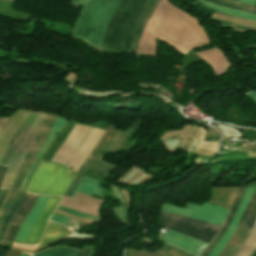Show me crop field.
<instances>
[{
	"instance_id": "8a807250",
	"label": "crop field",
	"mask_w": 256,
	"mask_h": 256,
	"mask_svg": "<svg viewBox=\"0 0 256 256\" xmlns=\"http://www.w3.org/2000/svg\"><path fill=\"white\" fill-rule=\"evenodd\" d=\"M122 0H72L83 5L75 26L74 39L101 49L105 31ZM160 0H123L105 34L101 51L113 54L137 51L141 33ZM155 37L186 55L194 46L209 41L193 17L161 0L151 16L139 43L138 54L153 55Z\"/></svg>"
},
{
	"instance_id": "ac0d7876",
	"label": "crop field",
	"mask_w": 256,
	"mask_h": 256,
	"mask_svg": "<svg viewBox=\"0 0 256 256\" xmlns=\"http://www.w3.org/2000/svg\"><path fill=\"white\" fill-rule=\"evenodd\" d=\"M46 113L43 112H33L26 124L23 126L22 130L17 134V136L14 138L12 143L10 144V147L1 163V166H8V170L6 172V175L3 179V182L1 184L0 190L8 189L9 185L11 183L12 178L15 175V172L25 155L27 149L29 148L30 144L34 140L38 129L40 127V124L44 118ZM56 116L51 115L49 113L46 114L45 119L40 127V130L38 132V135L36 136L35 140L31 144L30 148L28 149L25 157L23 158L16 175L14 177V180L9 188V191L7 193L6 198L4 199L1 207H0V225L1 222L9 209V207L12 205L16 194L18 192V189L22 183V180L39 149L43 145L50 129L53 124V121Z\"/></svg>"
},
{
	"instance_id": "34b2d1b8",
	"label": "crop field",
	"mask_w": 256,
	"mask_h": 256,
	"mask_svg": "<svg viewBox=\"0 0 256 256\" xmlns=\"http://www.w3.org/2000/svg\"><path fill=\"white\" fill-rule=\"evenodd\" d=\"M49 196H44V195H39L32 210L30 213L27 215L23 225L21 226L18 234L16 235L14 242L21 243L23 244L32 225L36 221V219L39 217L41 214L45 203L47 201ZM60 200V197H54L50 196L47 204L38 218V220L35 222L33 225L26 241L24 244H36L39 242L43 232L44 228L46 225V220L50 217V215L53 213L56 205L58 204Z\"/></svg>"
},
{
	"instance_id": "412701ff",
	"label": "crop field",
	"mask_w": 256,
	"mask_h": 256,
	"mask_svg": "<svg viewBox=\"0 0 256 256\" xmlns=\"http://www.w3.org/2000/svg\"><path fill=\"white\" fill-rule=\"evenodd\" d=\"M67 172L68 170L60 165L42 161L27 190L41 194L63 195L75 175L71 171L67 175Z\"/></svg>"
},
{
	"instance_id": "f4fd0767",
	"label": "crop field",
	"mask_w": 256,
	"mask_h": 256,
	"mask_svg": "<svg viewBox=\"0 0 256 256\" xmlns=\"http://www.w3.org/2000/svg\"><path fill=\"white\" fill-rule=\"evenodd\" d=\"M187 209H180L168 204H163L161 211L177 213L193 219L221 225L229 210L205 203L202 207L187 203Z\"/></svg>"
},
{
	"instance_id": "dd49c442",
	"label": "crop field",
	"mask_w": 256,
	"mask_h": 256,
	"mask_svg": "<svg viewBox=\"0 0 256 256\" xmlns=\"http://www.w3.org/2000/svg\"><path fill=\"white\" fill-rule=\"evenodd\" d=\"M32 111L18 109L6 121L4 127L0 131V160L5 154L9 141L18 132V130L27 121Z\"/></svg>"
},
{
	"instance_id": "e52e79f7",
	"label": "crop field",
	"mask_w": 256,
	"mask_h": 256,
	"mask_svg": "<svg viewBox=\"0 0 256 256\" xmlns=\"http://www.w3.org/2000/svg\"><path fill=\"white\" fill-rule=\"evenodd\" d=\"M124 134V132L122 131H117V133L115 134V136L113 137V139L110 141V143L107 145V147L102 151V153L99 155V157L97 159L95 158H91L89 157V159L87 160V162L84 164V166L82 167V169L79 171V173L75 176V178L73 179V181L71 182L69 188L67 189L65 196H67V194L69 193L70 189L72 188V186L74 185V183L76 182V180L78 179V177L80 176V174L83 172V170L88 167L90 169L99 171L101 173L107 174L112 171L116 166L111 164V163H106L103 160L104 155H106L107 153H109V151L117 144V142L119 141V139L122 137V135ZM111 152V151H110Z\"/></svg>"
},
{
	"instance_id": "d8731c3e",
	"label": "crop field",
	"mask_w": 256,
	"mask_h": 256,
	"mask_svg": "<svg viewBox=\"0 0 256 256\" xmlns=\"http://www.w3.org/2000/svg\"><path fill=\"white\" fill-rule=\"evenodd\" d=\"M161 225H164L172 230H175L177 232H180L184 235L196 238L198 240L204 241L209 243L210 240L213 238V236L216 234V231L198 227V226H193L181 222H172V221H167L161 219Z\"/></svg>"
},
{
	"instance_id": "5a996713",
	"label": "crop field",
	"mask_w": 256,
	"mask_h": 256,
	"mask_svg": "<svg viewBox=\"0 0 256 256\" xmlns=\"http://www.w3.org/2000/svg\"><path fill=\"white\" fill-rule=\"evenodd\" d=\"M161 237L171 244L195 255H198L204 249V247L207 246L206 243L174 233L172 231L162 233Z\"/></svg>"
},
{
	"instance_id": "3316defc",
	"label": "crop field",
	"mask_w": 256,
	"mask_h": 256,
	"mask_svg": "<svg viewBox=\"0 0 256 256\" xmlns=\"http://www.w3.org/2000/svg\"><path fill=\"white\" fill-rule=\"evenodd\" d=\"M256 186H252V187H248L245 195L243 196L241 202H240V206L237 210V213L230 225V227L228 228V230L226 231V233L224 234V236L222 237V239L220 240V242L217 244V246L214 248V250L208 255V256H217L219 254V252L221 251V249L224 247V245L226 244V242L229 240V238L231 237L235 227L237 226L253 192Z\"/></svg>"
},
{
	"instance_id": "28ad6ade",
	"label": "crop field",
	"mask_w": 256,
	"mask_h": 256,
	"mask_svg": "<svg viewBox=\"0 0 256 256\" xmlns=\"http://www.w3.org/2000/svg\"><path fill=\"white\" fill-rule=\"evenodd\" d=\"M196 54L213 67L217 77L224 74L227 67L231 65L225 60L217 47Z\"/></svg>"
},
{
	"instance_id": "d1516ede",
	"label": "crop field",
	"mask_w": 256,
	"mask_h": 256,
	"mask_svg": "<svg viewBox=\"0 0 256 256\" xmlns=\"http://www.w3.org/2000/svg\"><path fill=\"white\" fill-rule=\"evenodd\" d=\"M38 195L36 194H30L27 193L24 201L22 202V204L19 206V208L16 210L15 214L13 215L8 228L4 234L3 240H6V237L8 235L9 229L11 227V225H21L23 220L25 219L26 215L29 213V211L31 210L36 198Z\"/></svg>"
},
{
	"instance_id": "22f410ed",
	"label": "crop field",
	"mask_w": 256,
	"mask_h": 256,
	"mask_svg": "<svg viewBox=\"0 0 256 256\" xmlns=\"http://www.w3.org/2000/svg\"><path fill=\"white\" fill-rule=\"evenodd\" d=\"M70 232L71 231L67 230L62 226L50 223L37 250H40L50 244L66 238Z\"/></svg>"
},
{
	"instance_id": "cbeb9de0",
	"label": "crop field",
	"mask_w": 256,
	"mask_h": 256,
	"mask_svg": "<svg viewBox=\"0 0 256 256\" xmlns=\"http://www.w3.org/2000/svg\"><path fill=\"white\" fill-rule=\"evenodd\" d=\"M77 191L90 194V195L95 194L103 198V196L101 195V192L104 190L101 188L98 181L83 177L78 187L76 188L75 192L73 193L72 198H74Z\"/></svg>"
},
{
	"instance_id": "5142ce71",
	"label": "crop field",
	"mask_w": 256,
	"mask_h": 256,
	"mask_svg": "<svg viewBox=\"0 0 256 256\" xmlns=\"http://www.w3.org/2000/svg\"><path fill=\"white\" fill-rule=\"evenodd\" d=\"M197 2H199L200 4L206 6L210 9H214V10L220 11V12L225 13V14H229V15H232V16L242 17V18H246V19H249V20L256 21V15L252 14V13L220 7V6L205 2L203 0H197Z\"/></svg>"
},
{
	"instance_id": "d9b57169",
	"label": "crop field",
	"mask_w": 256,
	"mask_h": 256,
	"mask_svg": "<svg viewBox=\"0 0 256 256\" xmlns=\"http://www.w3.org/2000/svg\"><path fill=\"white\" fill-rule=\"evenodd\" d=\"M65 119H62L60 117H56L54 124L52 126V129L44 143V145L42 146L41 150L39 151L37 158L41 159V157L43 156V154L46 152V150L48 149V147L50 146V144L52 143V141L55 139V137L57 135H54L55 132H58L61 130V128L63 127V125L65 124Z\"/></svg>"
},
{
	"instance_id": "733c2abd",
	"label": "crop field",
	"mask_w": 256,
	"mask_h": 256,
	"mask_svg": "<svg viewBox=\"0 0 256 256\" xmlns=\"http://www.w3.org/2000/svg\"><path fill=\"white\" fill-rule=\"evenodd\" d=\"M255 200H256V189H255V192H254V194H253V196H252V198H251V200H250V202H249V204H248V206H247V208H246V210H245V212L243 214V217H242V219H241V221H240L238 226H242V227L245 226V224L247 222V219H248V217L250 215V212H251V210L253 208V205L255 203ZM255 217H256V203L254 205V208H253V210L251 212V215H250V217L248 219V222H247L245 227L251 228L252 225H253V222L255 220Z\"/></svg>"
},
{
	"instance_id": "4a817a6b",
	"label": "crop field",
	"mask_w": 256,
	"mask_h": 256,
	"mask_svg": "<svg viewBox=\"0 0 256 256\" xmlns=\"http://www.w3.org/2000/svg\"><path fill=\"white\" fill-rule=\"evenodd\" d=\"M161 217L176 220V221H181V222H185V223H189V224H193V225H198V226H202V227H206V228H210V229H213L216 231H218L220 228V226L208 224L205 222H201V221H197V220H193V219H189V218H185V217H181V216H177V215H173V214L163 213V212H161Z\"/></svg>"
},
{
	"instance_id": "bc2a9ffb",
	"label": "crop field",
	"mask_w": 256,
	"mask_h": 256,
	"mask_svg": "<svg viewBox=\"0 0 256 256\" xmlns=\"http://www.w3.org/2000/svg\"><path fill=\"white\" fill-rule=\"evenodd\" d=\"M26 195V192H18V195L13 203V205L11 206L5 220L3 221L1 227H0V240L3 236V233L9 223V220L11 218V216L13 215V213L15 212V210L17 209V207L19 206V204L21 203V201L23 200L24 196Z\"/></svg>"
},
{
	"instance_id": "214f88e0",
	"label": "crop field",
	"mask_w": 256,
	"mask_h": 256,
	"mask_svg": "<svg viewBox=\"0 0 256 256\" xmlns=\"http://www.w3.org/2000/svg\"><path fill=\"white\" fill-rule=\"evenodd\" d=\"M71 249L68 248H53L49 250H45L39 254H36L34 256H77L79 251H70Z\"/></svg>"
},
{
	"instance_id": "92a150f3",
	"label": "crop field",
	"mask_w": 256,
	"mask_h": 256,
	"mask_svg": "<svg viewBox=\"0 0 256 256\" xmlns=\"http://www.w3.org/2000/svg\"><path fill=\"white\" fill-rule=\"evenodd\" d=\"M210 1L218 3V4H222V5L242 9V10L249 11V12H252V13L256 14V8L252 7V6H248V5H244V4H240V3H235V2H232V1H229V0H210Z\"/></svg>"
},
{
	"instance_id": "dafd665d",
	"label": "crop field",
	"mask_w": 256,
	"mask_h": 256,
	"mask_svg": "<svg viewBox=\"0 0 256 256\" xmlns=\"http://www.w3.org/2000/svg\"><path fill=\"white\" fill-rule=\"evenodd\" d=\"M155 253H158L164 256H191L181 250L171 248V247H166V246H163V248L160 249L159 251L156 250Z\"/></svg>"
},
{
	"instance_id": "00972430",
	"label": "crop field",
	"mask_w": 256,
	"mask_h": 256,
	"mask_svg": "<svg viewBox=\"0 0 256 256\" xmlns=\"http://www.w3.org/2000/svg\"><path fill=\"white\" fill-rule=\"evenodd\" d=\"M229 225H223L220 231L217 233L213 241L210 243V245L204 250V252L200 256H207L211 250L214 248V246L218 243V241L221 239L225 231L227 230Z\"/></svg>"
},
{
	"instance_id": "a9b5d70f",
	"label": "crop field",
	"mask_w": 256,
	"mask_h": 256,
	"mask_svg": "<svg viewBox=\"0 0 256 256\" xmlns=\"http://www.w3.org/2000/svg\"><path fill=\"white\" fill-rule=\"evenodd\" d=\"M245 190H246V187H241L239 189V191L237 193V196H236V199H235V202H234V205H233V208L230 211V213H229V215H228V217H227V219L225 221L226 224H230V222H231V220H232V218H233V216H234V214H235V212H236V210L238 208L239 202H240V200H241Z\"/></svg>"
},
{
	"instance_id": "4177f3b9",
	"label": "crop field",
	"mask_w": 256,
	"mask_h": 256,
	"mask_svg": "<svg viewBox=\"0 0 256 256\" xmlns=\"http://www.w3.org/2000/svg\"><path fill=\"white\" fill-rule=\"evenodd\" d=\"M115 215L118 217V219L124 223L125 225L128 226V221H127V215L124 210L123 204H121L119 207L113 208ZM129 227V226H128Z\"/></svg>"
},
{
	"instance_id": "730fd06b",
	"label": "crop field",
	"mask_w": 256,
	"mask_h": 256,
	"mask_svg": "<svg viewBox=\"0 0 256 256\" xmlns=\"http://www.w3.org/2000/svg\"><path fill=\"white\" fill-rule=\"evenodd\" d=\"M59 210H62V211H65L67 213H70V214H74L78 217H83V218H87V219H93V220H98L99 221V218L98 217H95V216H91V215H87V214H84V213H80V212H76V211H73V210H70L68 208H65V207H62V206H58Z\"/></svg>"
},
{
	"instance_id": "eef30255",
	"label": "crop field",
	"mask_w": 256,
	"mask_h": 256,
	"mask_svg": "<svg viewBox=\"0 0 256 256\" xmlns=\"http://www.w3.org/2000/svg\"><path fill=\"white\" fill-rule=\"evenodd\" d=\"M141 119L138 117L135 119V121L130 125L129 129L125 133V135L122 137V139L119 141V143L116 145V147L112 150L111 153H115V151L118 149V147L122 144V142L126 139L128 134L132 131V129L140 122Z\"/></svg>"
},
{
	"instance_id": "ae1a2a85",
	"label": "crop field",
	"mask_w": 256,
	"mask_h": 256,
	"mask_svg": "<svg viewBox=\"0 0 256 256\" xmlns=\"http://www.w3.org/2000/svg\"><path fill=\"white\" fill-rule=\"evenodd\" d=\"M112 127L109 126V128L107 129L105 135L103 136V138L101 139V141L99 142V144L97 145V147L94 149V151L92 152L91 156L95 157L97 151L99 150V148L102 146V144L105 142V140L107 139V137L110 135L111 131H112Z\"/></svg>"
},
{
	"instance_id": "d3111659",
	"label": "crop field",
	"mask_w": 256,
	"mask_h": 256,
	"mask_svg": "<svg viewBox=\"0 0 256 256\" xmlns=\"http://www.w3.org/2000/svg\"><path fill=\"white\" fill-rule=\"evenodd\" d=\"M50 221H54V222H58L60 224L66 225V223L69 221V218L54 213Z\"/></svg>"
},
{
	"instance_id": "750c4746",
	"label": "crop field",
	"mask_w": 256,
	"mask_h": 256,
	"mask_svg": "<svg viewBox=\"0 0 256 256\" xmlns=\"http://www.w3.org/2000/svg\"><path fill=\"white\" fill-rule=\"evenodd\" d=\"M20 226H12L6 241L12 242Z\"/></svg>"
},
{
	"instance_id": "bd1437ed",
	"label": "crop field",
	"mask_w": 256,
	"mask_h": 256,
	"mask_svg": "<svg viewBox=\"0 0 256 256\" xmlns=\"http://www.w3.org/2000/svg\"><path fill=\"white\" fill-rule=\"evenodd\" d=\"M244 95L256 104V93L251 91L249 93H245Z\"/></svg>"
},
{
	"instance_id": "1d83c4d3",
	"label": "crop field",
	"mask_w": 256,
	"mask_h": 256,
	"mask_svg": "<svg viewBox=\"0 0 256 256\" xmlns=\"http://www.w3.org/2000/svg\"><path fill=\"white\" fill-rule=\"evenodd\" d=\"M87 171V168L85 169V171L81 174V176L79 177V179L77 180V182L75 183V185L73 186L72 190L70 191V193L68 194V196L70 197V195L72 194L73 190L75 189V187L77 186L78 182L82 179L83 175L85 174V172Z\"/></svg>"
},
{
	"instance_id": "120bbe31",
	"label": "crop field",
	"mask_w": 256,
	"mask_h": 256,
	"mask_svg": "<svg viewBox=\"0 0 256 256\" xmlns=\"http://www.w3.org/2000/svg\"><path fill=\"white\" fill-rule=\"evenodd\" d=\"M256 0H240V3L248 4V5H254Z\"/></svg>"
},
{
	"instance_id": "d32e631a",
	"label": "crop field",
	"mask_w": 256,
	"mask_h": 256,
	"mask_svg": "<svg viewBox=\"0 0 256 256\" xmlns=\"http://www.w3.org/2000/svg\"><path fill=\"white\" fill-rule=\"evenodd\" d=\"M21 252L10 250L8 256H19Z\"/></svg>"
},
{
	"instance_id": "5866460e",
	"label": "crop field",
	"mask_w": 256,
	"mask_h": 256,
	"mask_svg": "<svg viewBox=\"0 0 256 256\" xmlns=\"http://www.w3.org/2000/svg\"><path fill=\"white\" fill-rule=\"evenodd\" d=\"M5 170H6V168L0 167V184H1V181H2V179H3Z\"/></svg>"
},
{
	"instance_id": "028f5c9d",
	"label": "crop field",
	"mask_w": 256,
	"mask_h": 256,
	"mask_svg": "<svg viewBox=\"0 0 256 256\" xmlns=\"http://www.w3.org/2000/svg\"><path fill=\"white\" fill-rule=\"evenodd\" d=\"M7 191H8V190L1 191V193H0V205H1V203H2V201H3V199H4V197H5V195H6V193H7Z\"/></svg>"
},
{
	"instance_id": "e1f06a70",
	"label": "crop field",
	"mask_w": 256,
	"mask_h": 256,
	"mask_svg": "<svg viewBox=\"0 0 256 256\" xmlns=\"http://www.w3.org/2000/svg\"><path fill=\"white\" fill-rule=\"evenodd\" d=\"M9 251L0 249V256H7Z\"/></svg>"
},
{
	"instance_id": "0bd39190",
	"label": "crop field",
	"mask_w": 256,
	"mask_h": 256,
	"mask_svg": "<svg viewBox=\"0 0 256 256\" xmlns=\"http://www.w3.org/2000/svg\"><path fill=\"white\" fill-rule=\"evenodd\" d=\"M89 252L81 251L79 256H88Z\"/></svg>"
},
{
	"instance_id": "b80d0937",
	"label": "crop field",
	"mask_w": 256,
	"mask_h": 256,
	"mask_svg": "<svg viewBox=\"0 0 256 256\" xmlns=\"http://www.w3.org/2000/svg\"><path fill=\"white\" fill-rule=\"evenodd\" d=\"M20 256H30V254H26V253H21Z\"/></svg>"
},
{
	"instance_id": "c035e120",
	"label": "crop field",
	"mask_w": 256,
	"mask_h": 256,
	"mask_svg": "<svg viewBox=\"0 0 256 256\" xmlns=\"http://www.w3.org/2000/svg\"><path fill=\"white\" fill-rule=\"evenodd\" d=\"M249 48L256 49V45L248 46Z\"/></svg>"
},
{
	"instance_id": "c21b1889",
	"label": "crop field",
	"mask_w": 256,
	"mask_h": 256,
	"mask_svg": "<svg viewBox=\"0 0 256 256\" xmlns=\"http://www.w3.org/2000/svg\"><path fill=\"white\" fill-rule=\"evenodd\" d=\"M252 256H256V250L253 252Z\"/></svg>"
},
{
	"instance_id": "03da06ac",
	"label": "crop field",
	"mask_w": 256,
	"mask_h": 256,
	"mask_svg": "<svg viewBox=\"0 0 256 256\" xmlns=\"http://www.w3.org/2000/svg\"><path fill=\"white\" fill-rule=\"evenodd\" d=\"M9 1H12V2H13L14 0H9Z\"/></svg>"
},
{
	"instance_id": "b54c1fbb",
	"label": "crop field",
	"mask_w": 256,
	"mask_h": 256,
	"mask_svg": "<svg viewBox=\"0 0 256 256\" xmlns=\"http://www.w3.org/2000/svg\"><path fill=\"white\" fill-rule=\"evenodd\" d=\"M254 92H256V90H253Z\"/></svg>"
},
{
	"instance_id": "5d738f31",
	"label": "crop field",
	"mask_w": 256,
	"mask_h": 256,
	"mask_svg": "<svg viewBox=\"0 0 256 256\" xmlns=\"http://www.w3.org/2000/svg\"><path fill=\"white\" fill-rule=\"evenodd\" d=\"M236 1H239V0H236Z\"/></svg>"
},
{
	"instance_id": "d23c7cc5",
	"label": "crop field",
	"mask_w": 256,
	"mask_h": 256,
	"mask_svg": "<svg viewBox=\"0 0 256 256\" xmlns=\"http://www.w3.org/2000/svg\"><path fill=\"white\" fill-rule=\"evenodd\" d=\"M255 6H256V4H255Z\"/></svg>"
}]
</instances>
